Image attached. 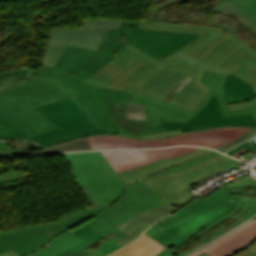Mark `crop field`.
I'll return each mask as SVG.
<instances>
[{
  "label": "crop field",
  "instance_id": "obj_1",
  "mask_svg": "<svg viewBox=\"0 0 256 256\" xmlns=\"http://www.w3.org/2000/svg\"><path fill=\"white\" fill-rule=\"evenodd\" d=\"M170 66L152 79L131 101L159 111L167 131L183 132L220 126H256V106L229 111L227 104L256 97V88L238 76L205 70L177 56ZM171 68V70H169ZM194 77L169 103L165 96L186 76ZM183 107V108H182Z\"/></svg>",
  "mask_w": 256,
  "mask_h": 256
},
{
  "label": "crop field",
  "instance_id": "obj_2",
  "mask_svg": "<svg viewBox=\"0 0 256 256\" xmlns=\"http://www.w3.org/2000/svg\"><path fill=\"white\" fill-rule=\"evenodd\" d=\"M238 164L241 163L213 151L140 179L127 187L119 200L95 215L97 219L86 225L98 233L116 225L126 234L116 241L124 246L152 223L176 210L170 204H185L192 194L183 188L210 174Z\"/></svg>",
  "mask_w": 256,
  "mask_h": 256
},
{
  "label": "crop field",
  "instance_id": "obj_3",
  "mask_svg": "<svg viewBox=\"0 0 256 256\" xmlns=\"http://www.w3.org/2000/svg\"><path fill=\"white\" fill-rule=\"evenodd\" d=\"M139 28L202 34L177 52L161 59L164 64L180 53L207 68L237 74L252 61L256 62V51L228 31L216 33L141 24Z\"/></svg>",
  "mask_w": 256,
  "mask_h": 256
},
{
  "label": "crop field",
  "instance_id": "obj_4",
  "mask_svg": "<svg viewBox=\"0 0 256 256\" xmlns=\"http://www.w3.org/2000/svg\"><path fill=\"white\" fill-rule=\"evenodd\" d=\"M240 199L238 196H223L217 201L210 196L203 201L198 198L183 210L163 218L144 233L167 248L175 246L199 226L211 224L229 213Z\"/></svg>",
  "mask_w": 256,
  "mask_h": 256
},
{
  "label": "crop field",
  "instance_id": "obj_5",
  "mask_svg": "<svg viewBox=\"0 0 256 256\" xmlns=\"http://www.w3.org/2000/svg\"><path fill=\"white\" fill-rule=\"evenodd\" d=\"M73 167L76 184L92 205L106 207L122 195L126 183L100 151L63 154Z\"/></svg>",
  "mask_w": 256,
  "mask_h": 256
},
{
  "label": "crop field",
  "instance_id": "obj_6",
  "mask_svg": "<svg viewBox=\"0 0 256 256\" xmlns=\"http://www.w3.org/2000/svg\"><path fill=\"white\" fill-rule=\"evenodd\" d=\"M29 76L55 81L65 86L77 94L70 99L78 104L98 127L120 131L121 127L109 113L107 101L125 103V99L130 100L131 93L99 88L57 68L42 66L40 70H32Z\"/></svg>",
  "mask_w": 256,
  "mask_h": 256
},
{
  "label": "crop field",
  "instance_id": "obj_7",
  "mask_svg": "<svg viewBox=\"0 0 256 256\" xmlns=\"http://www.w3.org/2000/svg\"><path fill=\"white\" fill-rule=\"evenodd\" d=\"M164 67L158 59L127 43L118 57L87 81L99 87L131 92L141 90Z\"/></svg>",
  "mask_w": 256,
  "mask_h": 256
},
{
  "label": "crop field",
  "instance_id": "obj_8",
  "mask_svg": "<svg viewBox=\"0 0 256 256\" xmlns=\"http://www.w3.org/2000/svg\"><path fill=\"white\" fill-rule=\"evenodd\" d=\"M59 128L29 138L41 148L94 134H118L120 132L98 128L89 116L69 98L35 107Z\"/></svg>",
  "mask_w": 256,
  "mask_h": 256
},
{
  "label": "crop field",
  "instance_id": "obj_9",
  "mask_svg": "<svg viewBox=\"0 0 256 256\" xmlns=\"http://www.w3.org/2000/svg\"><path fill=\"white\" fill-rule=\"evenodd\" d=\"M255 127H221L203 131L182 133L173 137L142 140L117 135L88 136L94 149L126 147H164L171 145H197L217 148L238 139Z\"/></svg>",
  "mask_w": 256,
  "mask_h": 256
},
{
  "label": "crop field",
  "instance_id": "obj_10",
  "mask_svg": "<svg viewBox=\"0 0 256 256\" xmlns=\"http://www.w3.org/2000/svg\"><path fill=\"white\" fill-rule=\"evenodd\" d=\"M133 22H122L119 29H110L98 51L65 46L54 67L89 78L120 54L130 36Z\"/></svg>",
  "mask_w": 256,
  "mask_h": 256
},
{
  "label": "crop field",
  "instance_id": "obj_11",
  "mask_svg": "<svg viewBox=\"0 0 256 256\" xmlns=\"http://www.w3.org/2000/svg\"><path fill=\"white\" fill-rule=\"evenodd\" d=\"M54 128L22 98L11 100L0 91V138L24 140Z\"/></svg>",
  "mask_w": 256,
  "mask_h": 256
},
{
  "label": "crop field",
  "instance_id": "obj_12",
  "mask_svg": "<svg viewBox=\"0 0 256 256\" xmlns=\"http://www.w3.org/2000/svg\"><path fill=\"white\" fill-rule=\"evenodd\" d=\"M223 195H239V196H242V200L239 202L237 207L229 214L218 219L211 225L202 226L196 229L185 241H183L182 243L178 244L173 248H168V249L172 250L173 252L177 253L180 256H184L187 253L191 252L192 250L198 248L199 246L213 240L214 238L218 237L224 232L239 225L241 222L245 221L246 219L256 215V184L223 187L217 190L216 192H214L210 196H212L214 199L217 200L219 197ZM227 218H232L233 220L224 223L220 228L215 229L214 232H211L201 237L198 242L193 243L194 245L191 248H186L182 251L177 250L195 241L199 237V235L209 231L218 223H220L221 221Z\"/></svg>",
  "mask_w": 256,
  "mask_h": 256
},
{
  "label": "crop field",
  "instance_id": "obj_13",
  "mask_svg": "<svg viewBox=\"0 0 256 256\" xmlns=\"http://www.w3.org/2000/svg\"><path fill=\"white\" fill-rule=\"evenodd\" d=\"M122 21L86 19L82 28L52 31L42 64L54 66L65 45L98 50L109 28Z\"/></svg>",
  "mask_w": 256,
  "mask_h": 256
},
{
  "label": "crop field",
  "instance_id": "obj_14",
  "mask_svg": "<svg viewBox=\"0 0 256 256\" xmlns=\"http://www.w3.org/2000/svg\"><path fill=\"white\" fill-rule=\"evenodd\" d=\"M140 21H135L128 43L138 47L159 60L171 54L199 35L138 29Z\"/></svg>",
  "mask_w": 256,
  "mask_h": 256
},
{
  "label": "crop field",
  "instance_id": "obj_15",
  "mask_svg": "<svg viewBox=\"0 0 256 256\" xmlns=\"http://www.w3.org/2000/svg\"><path fill=\"white\" fill-rule=\"evenodd\" d=\"M26 79L27 81L13 83L1 91L11 99L22 97L33 107L75 95L55 82L35 78Z\"/></svg>",
  "mask_w": 256,
  "mask_h": 256
},
{
  "label": "crop field",
  "instance_id": "obj_16",
  "mask_svg": "<svg viewBox=\"0 0 256 256\" xmlns=\"http://www.w3.org/2000/svg\"><path fill=\"white\" fill-rule=\"evenodd\" d=\"M194 147H177L154 150L101 151L117 173L167 157L168 159L199 150Z\"/></svg>",
  "mask_w": 256,
  "mask_h": 256
},
{
  "label": "crop field",
  "instance_id": "obj_17",
  "mask_svg": "<svg viewBox=\"0 0 256 256\" xmlns=\"http://www.w3.org/2000/svg\"><path fill=\"white\" fill-rule=\"evenodd\" d=\"M82 238L84 241L55 255V256H70L73 254L87 252V251H95L101 256H104L121 246L118 245L115 241L124 236L116 226L98 234L93 229L88 226H83L78 230L72 232ZM0 256H18L13 251L1 254Z\"/></svg>",
  "mask_w": 256,
  "mask_h": 256
},
{
  "label": "crop field",
  "instance_id": "obj_18",
  "mask_svg": "<svg viewBox=\"0 0 256 256\" xmlns=\"http://www.w3.org/2000/svg\"><path fill=\"white\" fill-rule=\"evenodd\" d=\"M52 239L43 225L1 232L0 254L13 250L18 255L25 256L38 251Z\"/></svg>",
  "mask_w": 256,
  "mask_h": 256
},
{
  "label": "crop field",
  "instance_id": "obj_19",
  "mask_svg": "<svg viewBox=\"0 0 256 256\" xmlns=\"http://www.w3.org/2000/svg\"><path fill=\"white\" fill-rule=\"evenodd\" d=\"M256 240V220L238 227L229 234L221 237L218 241L194 253L191 256H199L205 252L212 256H231Z\"/></svg>",
  "mask_w": 256,
  "mask_h": 256
},
{
  "label": "crop field",
  "instance_id": "obj_20",
  "mask_svg": "<svg viewBox=\"0 0 256 256\" xmlns=\"http://www.w3.org/2000/svg\"><path fill=\"white\" fill-rule=\"evenodd\" d=\"M178 0H164L158 3L146 19L152 20L157 8ZM218 7L226 12L238 15L256 34V0H218Z\"/></svg>",
  "mask_w": 256,
  "mask_h": 256
},
{
  "label": "crop field",
  "instance_id": "obj_21",
  "mask_svg": "<svg viewBox=\"0 0 256 256\" xmlns=\"http://www.w3.org/2000/svg\"><path fill=\"white\" fill-rule=\"evenodd\" d=\"M210 151H213L211 149H202L196 152H192L180 157H176L173 159L168 160L167 158L160 160L159 162H154L151 163L149 165L140 167V168H136L133 170H129L123 173H119L120 177L123 179V181H125L126 183L131 184L133 182H135L136 180L140 179V178H144L148 175L154 174L156 172L165 170L167 168L173 167L175 165L181 164L183 162L189 161L191 159H194L196 157H199L205 153H208ZM127 185V186H128Z\"/></svg>",
  "mask_w": 256,
  "mask_h": 256
},
{
  "label": "crop field",
  "instance_id": "obj_22",
  "mask_svg": "<svg viewBox=\"0 0 256 256\" xmlns=\"http://www.w3.org/2000/svg\"><path fill=\"white\" fill-rule=\"evenodd\" d=\"M108 103L111 115L122 127L120 135L140 138V135L166 131L163 126L146 127L145 122L126 119L129 104Z\"/></svg>",
  "mask_w": 256,
  "mask_h": 256
},
{
  "label": "crop field",
  "instance_id": "obj_23",
  "mask_svg": "<svg viewBox=\"0 0 256 256\" xmlns=\"http://www.w3.org/2000/svg\"><path fill=\"white\" fill-rule=\"evenodd\" d=\"M164 249V246L143 233L133 242L108 256H155Z\"/></svg>",
  "mask_w": 256,
  "mask_h": 256
},
{
  "label": "crop field",
  "instance_id": "obj_24",
  "mask_svg": "<svg viewBox=\"0 0 256 256\" xmlns=\"http://www.w3.org/2000/svg\"><path fill=\"white\" fill-rule=\"evenodd\" d=\"M105 208L98 206H91L85 210H82L74 215H71L61 221H58L54 224L44 225L48 232H50L54 237L65 232L81 222L93 217L96 213L100 212Z\"/></svg>",
  "mask_w": 256,
  "mask_h": 256
},
{
  "label": "crop field",
  "instance_id": "obj_25",
  "mask_svg": "<svg viewBox=\"0 0 256 256\" xmlns=\"http://www.w3.org/2000/svg\"><path fill=\"white\" fill-rule=\"evenodd\" d=\"M82 241L79 237L75 236L71 232L67 231L54 238L40 251L27 255V256H53L74 244Z\"/></svg>",
  "mask_w": 256,
  "mask_h": 256
},
{
  "label": "crop field",
  "instance_id": "obj_26",
  "mask_svg": "<svg viewBox=\"0 0 256 256\" xmlns=\"http://www.w3.org/2000/svg\"><path fill=\"white\" fill-rule=\"evenodd\" d=\"M212 11L215 15V19L204 22V25L221 27L232 32L234 35L247 25L240 18H238V23H234L231 20H228V16H223L226 12L221 11L217 5H214Z\"/></svg>",
  "mask_w": 256,
  "mask_h": 256
},
{
  "label": "crop field",
  "instance_id": "obj_27",
  "mask_svg": "<svg viewBox=\"0 0 256 256\" xmlns=\"http://www.w3.org/2000/svg\"><path fill=\"white\" fill-rule=\"evenodd\" d=\"M88 149H92V147L86 136L80 139H76L73 141H69V142H65V143L51 146L48 148H44L43 150L50 153H57V152H67V151L88 150Z\"/></svg>",
  "mask_w": 256,
  "mask_h": 256
},
{
  "label": "crop field",
  "instance_id": "obj_28",
  "mask_svg": "<svg viewBox=\"0 0 256 256\" xmlns=\"http://www.w3.org/2000/svg\"><path fill=\"white\" fill-rule=\"evenodd\" d=\"M15 33L12 32L6 36L0 41V48L14 35ZM30 68H18L6 72L0 73V87L18 79L25 77L28 73Z\"/></svg>",
  "mask_w": 256,
  "mask_h": 256
},
{
  "label": "crop field",
  "instance_id": "obj_29",
  "mask_svg": "<svg viewBox=\"0 0 256 256\" xmlns=\"http://www.w3.org/2000/svg\"><path fill=\"white\" fill-rule=\"evenodd\" d=\"M140 23L141 24H147V25H155V26L180 27V28L205 30V31H217V32H223L224 31V30H222L220 28H217V27L191 25V24H169V23L155 22V21H149V20H142Z\"/></svg>",
  "mask_w": 256,
  "mask_h": 256
},
{
  "label": "crop field",
  "instance_id": "obj_30",
  "mask_svg": "<svg viewBox=\"0 0 256 256\" xmlns=\"http://www.w3.org/2000/svg\"><path fill=\"white\" fill-rule=\"evenodd\" d=\"M246 80L250 81L254 85H256V63H251L248 67H246L243 71L237 74Z\"/></svg>",
  "mask_w": 256,
  "mask_h": 256
},
{
  "label": "crop field",
  "instance_id": "obj_31",
  "mask_svg": "<svg viewBox=\"0 0 256 256\" xmlns=\"http://www.w3.org/2000/svg\"><path fill=\"white\" fill-rule=\"evenodd\" d=\"M254 134H256V128H255L253 131H248V132H246V133H245L242 137H240L238 140H236V141H234V142H232V143H230V144H227V145H225V146H223V147H221V148H217V149H220V150H222V151L225 152V151H227L228 149H230V148H232V147H234V146H236V145H238V144L244 142L245 140H247V139L253 137Z\"/></svg>",
  "mask_w": 256,
  "mask_h": 256
},
{
  "label": "crop field",
  "instance_id": "obj_32",
  "mask_svg": "<svg viewBox=\"0 0 256 256\" xmlns=\"http://www.w3.org/2000/svg\"><path fill=\"white\" fill-rule=\"evenodd\" d=\"M192 77H186L184 80H182L164 99V101H169L185 84H187Z\"/></svg>",
  "mask_w": 256,
  "mask_h": 256
},
{
  "label": "crop field",
  "instance_id": "obj_33",
  "mask_svg": "<svg viewBox=\"0 0 256 256\" xmlns=\"http://www.w3.org/2000/svg\"><path fill=\"white\" fill-rule=\"evenodd\" d=\"M233 256H256V241L247 249H245Z\"/></svg>",
  "mask_w": 256,
  "mask_h": 256
},
{
  "label": "crop field",
  "instance_id": "obj_34",
  "mask_svg": "<svg viewBox=\"0 0 256 256\" xmlns=\"http://www.w3.org/2000/svg\"><path fill=\"white\" fill-rule=\"evenodd\" d=\"M256 105V98L251 100V101H245V102H241V103H237V104H231L228 105L229 109H238V108H246V107H252Z\"/></svg>",
  "mask_w": 256,
  "mask_h": 256
},
{
  "label": "crop field",
  "instance_id": "obj_35",
  "mask_svg": "<svg viewBox=\"0 0 256 256\" xmlns=\"http://www.w3.org/2000/svg\"><path fill=\"white\" fill-rule=\"evenodd\" d=\"M9 157H12V155L7 142L0 141V158H9Z\"/></svg>",
  "mask_w": 256,
  "mask_h": 256
},
{
  "label": "crop field",
  "instance_id": "obj_36",
  "mask_svg": "<svg viewBox=\"0 0 256 256\" xmlns=\"http://www.w3.org/2000/svg\"><path fill=\"white\" fill-rule=\"evenodd\" d=\"M178 133H182V132L179 130V131H173V132H165V133L144 135V136H141V138L142 139L159 138V137H165V136H173V135H176Z\"/></svg>",
  "mask_w": 256,
  "mask_h": 256
},
{
  "label": "crop field",
  "instance_id": "obj_37",
  "mask_svg": "<svg viewBox=\"0 0 256 256\" xmlns=\"http://www.w3.org/2000/svg\"><path fill=\"white\" fill-rule=\"evenodd\" d=\"M153 20H155V21L166 20V9H164L163 7L160 9H157Z\"/></svg>",
  "mask_w": 256,
  "mask_h": 256
},
{
  "label": "crop field",
  "instance_id": "obj_38",
  "mask_svg": "<svg viewBox=\"0 0 256 256\" xmlns=\"http://www.w3.org/2000/svg\"><path fill=\"white\" fill-rule=\"evenodd\" d=\"M252 145L255 149H256V143L253 144L252 141L248 140L246 142H244L243 144L237 146L236 148L232 149L231 151L227 152L228 154L232 155L233 153L243 149L244 147L248 146V145Z\"/></svg>",
  "mask_w": 256,
  "mask_h": 256
},
{
  "label": "crop field",
  "instance_id": "obj_39",
  "mask_svg": "<svg viewBox=\"0 0 256 256\" xmlns=\"http://www.w3.org/2000/svg\"><path fill=\"white\" fill-rule=\"evenodd\" d=\"M246 29H251V28L247 25V26H246L245 28H243L239 33L236 34V36H237L239 39H241L242 41H244L245 38H241V37H240L239 34H241V33H243V34H245L246 36L252 38L251 36H249L248 34H246V33L243 32V31L246 30ZM252 39H253L254 41L256 40V39H254V38H252ZM244 42L247 43L248 45H250L252 48L256 49V48L253 46L252 43L246 42V41H244Z\"/></svg>",
  "mask_w": 256,
  "mask_h": 256
},
{
  "label": "crop field",
  "instance_id": "obj_40",
  "mask_svg": "<svg viewBox=\"0 0 256 256\" xmlns=\"http://www.w3.org/2000/svg\"><path fill=\"white\" fill-rule=\"evenodd\" d=\"M156 256H178L177 254L173 253L172 251L166 249L165 251L159 253Z\"/></svg>",
  "mask_w": 256,
  "mask_h": 256
},
{
  "label": "crop field",
  "instance_id": "obj_41",
  "mask_svg": "<svg viewBox=\"0 0 256 256\" xmlns=\"http://www.w3.org/2000/svg\"><path fill=\"white\" fill-rule=\"evenodd\" d=\"M73 256H99V255L96 254L95 252H88V253H82V254L73 255Z\"/></svg>",
  "mask_w": 256,
  "mask_h": 256
},
{
  "label": "crop field",
  "instance_id": "obj_42",
  "mask_svg": "<svg viewBox=\"0 0 256 256\" xmlns=\"http://www.w3.org/2000/svg\"><path fill=\"white\" fill-rule=\"evenodd\" d=\"M202 256H211V255H209V254L206 253V254H204V255H202Z\"/></svg>",
  "mask_w": 256,
  "mask_h": 256
},
{
  "label": "crop field",
  "instance_id": "obj_43",
  "mask_svg": "<svg viewBox=\"0 0 256 256\" xmlns=\"http://www.w3.org/2000/svg\"><path fill=\"white\" fill-rule=\"evenodd\" d=\"M159 1H161V0H155V3L159 2Z\"/></svg>",
  "mask_w": 256,
  "mask_h": 256
},
{
  "label": "crop field",
  "instance_id": "obj_44",
  "mask_svg": "<svg viewBox=\"0 0 256 256\" xmlns=\"http://www.w3.org/2000/svg\"><path fill=\"white\" fill-rule=\"evenodd\" d=\"M0 1H6V0H0Z\"/></svg>",
  "mask_w": 256,
  "mask_h": 256
}]
</instances>
